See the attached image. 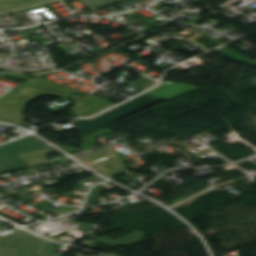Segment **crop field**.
<instances>
[{"mask_svg": "<svg viewBox=\"0 0 256 256\" xmlns=\"http://www.w3.org/2000/svg\"><path fill=\"white\" fill-rule=\"evenodd\" d=\"M56 246L23 230L0 235V256H58L50 253Z\"/></svg>", "mask_w": 256, "mask_h": 256, "instance_id": "8a807250", "label": "crop field"}, {"mask_svg": "<svg viewBox=\"0 0 256 256\" xmlns=\"http://www.w3.org/2000/svg\"><path fill=\"white\" fill-rule=\"evenodd\" d=\"M159 100L161 99L145 93L93 120H77L78 130L84 135L89 134Z\"/></svg>", "mask_w": 256, "mask_h": 256, "instance_id": "ac0d7876", "label": "crop field"}, {"mask_svg": "<svg viewBox=\"0 0 256 256\" xmlns=\"http://www.w3.org/2000/svg\"><path fill=\"white\" fill-rule=\"evenodd\" d=\"M44 148H48V146L31 135L0 146V174L29 168L30 166L18 155Z\"/></svg>", "mask_w": 256, "mask_h": 256, "instance_id": "34b2d1b8", "label": "crop field"}, {"mask_svg": "<svg viewBox=\"0 0 256 256\" xmlns=\"http://www.w3.org/2000/svg\"><path fill=\"white\" fill-rule=\"evenodd\" d=\"M75 158L106 177L126 171L118 156L109 146ZM109 165L111 167L105 168Z\"/></svg>", "mask_w": 256, "mask_h": 256, "instance_id": "412701ff", "label": "crop field"}, {"mask_svg": "<svg viewBox=\"0 0 256 256\" xmlns=\"http://www.w3.org/2000/svg\"><path fill=\"white\" fill-rule=\"evenodd\" d=\"M165 87H170V88L165 89ZM193 89H196V88L188 85L166 82L148 93L155 95L161 99L167 100L169 98L175 97L177 95L183 94ZM169 95H171V97H168Z\"/></svg>", "mask_w": 256, "mask_h": 256, "instance_id": "f4fd0767", "label": "crop field"}, {"mask_svg": "<svg viewBox=\"0 0 256 256\" xmlns=\"http://www.w3.org/2000/svg\"><path fill=\"white\" fill-rule=\"evenodd\" d=\"M58 0H0V14L18 11Z\"/></svg>", "mask_w": 256, "mask_h": 256, "instance_id": "dd49c442", "label": "crop field"}, {"mask_svg": "<svg viewBox=\"0 0 256 256\" xmlns=\"http://www.w3.org/2000/svg\"><path fill=\"white\" fill-rule=\"evenodd\" d=\"M87 235L92 237V238H94L95 240L99 241L100 243H102V244H104L106 246L114 248V247H117L119 245L131 242V241L138 240V239H140L142 237L147 236L148 234H145V233H142V232H137V233L125 236L123 238H120V239H118V240H116L114 242L112 240L106 238V237L97 238L92 233L87 234Z\"/></svg>", "mask_w": 256, "mask_h": 256, "instance_id": "e52e79f7", "label": "crop field"}, {"mask_svg": "<svg viewBox=\"0 0 256 256\" xmlns=\"http://www.w3.org/2000/svg\"><path fill=\"white\" fill-rule=\"evenodd\" d=\"M56 152L55 150L48 148L36 152H31L27 154L20 155L26 162L28 161H33V160H38V159H44L46 158V155L48 153H54Z\"/></svg>", "mask_w": 256, "mask_h": 256, "instance_id": "d8731c3e", "label": "crop field"}, {"mask_svg": "<svg viewBox=\"0 0 256 256\" xmlns=\"http://www.w3.org/2000/svg\"><path fill=\"white\" fill-rule=\"evenodd\" d=\"M82 1L86 3L91 9L107 5L103 0H82Z\"/></svg>", "mask_w": 256, "mask_h": 256, "instance_id": "5a996713", "label": "crop field"}, {"mask_svg": "<svg viewBox=\"0 0 256 256\" xmlns=\"http://www.w3.org/2000/svg\"><path fill=\"white\" fill-rule=\"evenodd\" d=\"M63 160H66V159L64 157H58L54 160L44 159V160L29 162L28 164L32 167V166H36V165L47 164V163L63 161Z\"/></svg>", "mask_w": 256, "mask_h": 256, "instance_id": "3316defc", "label": "crop field"}, {"mask_svg": "<svg viewBox=\"0 0 256 256\" xmlns=\"http://www.w3.org/2000/svg\"><path fill=\"white\" fill-rule=\"evenodd\" d=\"M108 5L110 4H113V3H116V2H120V1H123V0H104Z\"/></svg>", "mask_w": 256, "mask_h": 256, "instance_id": "28ad6ade", "label": "crop field"}, {"mask_svg": "<svg viewBox=\"0 0 256 256\" xmlns=\"http://www.w3.org/2000/svg\"><path fill=\"white\" fill-rule=\"evenodd\" d=\"M249 65H250V66H254V67H256V61H254V62L250 63Z\"/></svg>", "mask_w": 256, "mask_h": 256, "instance_id": "d1516ede", "label": "crop field"}]
</instances>
